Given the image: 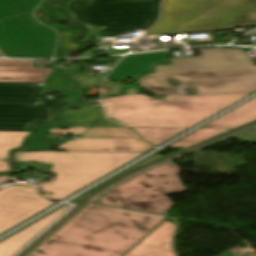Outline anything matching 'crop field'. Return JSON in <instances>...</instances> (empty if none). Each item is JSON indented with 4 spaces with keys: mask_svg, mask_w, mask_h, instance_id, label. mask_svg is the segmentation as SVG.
<instances>
[{
    "mask_svg": "<svg viewBox=\"0 0 256 256\" xmlns=\"http://www.w3.org/2000/svg\"><path fill=\"white\" fill-rule=\"evenodd\" d=\"M42 86L37 83H0V130L31 131L35 124H56L55 110L72 100H42L32 104Z\"/></svg>",
    "mask_w": 256,
    "mask_h": 256,
    "instance_id": "5a996713",
    "label": "crop field"
},
{
    "mask_svg": "<svg viewBox=\"0 0 256 256\" xmlns=\"http://www.w3.org/2000/svg\"><path fill=\"white\" fill-rule=\"evenodd\" d=\"M56 203L42 198L35 187L19 184L0 190V234Z\"/></svg>",
    "mask_w": 256,
    "mask_h": 256,
    "instance_id": "3316defc",
    "label": "crop field"
},
{
    "mask_svg": "<svg viewBox=\"0 0 256 256\" xmlns=\"http://www.w3.org/2000/svg\"><path fill=\"white\" fill-rule=\"evenodd\" d=\"M251 35H256V31H254V32H252V33H250ZM251 45H256V42L255 43H253V44H251Z\"/></svg>",
    "mask_w": 256,
    "mask_h": 256,
    "instance_id": "028f5c9d",
    "label": "crop field"
},
{
    "mask_svg": "<svg viewBox=\"0 0 256 256\" xmlns=\"http://www.w3.org/2000/svg\"><path fill=\"white\" fill-rule=\"evenodd\" d=\"M82 109L79 110H63L61 116L70 119V122L94 121L102 116V107L93 108L88 103H80Z\"/></svg>",
    "mask_w": 256,
    "mask_h": 256,
    "instance_id": "214f88e0",
    "label": "crop field"
},
{
    "mask_svg": "<svg viewBox=\"0 0 256 256\" xmlns=\"http://www.w3.org/2000/svg\"><path fill=\"white\" fill-rule=\"evenodd\" d=\"M69 209V205H64L49 213L34 223L19 230L13 235L0 241V256H12L23 248L33 237L46 228L50 223Z\"/></svg>",
    "mask_w": 256,
    "mask_h": 256,
    "instance_id": "22f410ed",
    "label": "crop field"
},
{
    "mask_svg": "<svg viewBox=\"0 0 256 256\" xmlns=\"http://www.w3.org/2000/svg\"><path fill=\"white\" fill-rule=\"evenodd\" d=\"M122 86H123L122 84H117V83L105 81V83L103 85V88H107L108 89L107 95H110V94L120 93V88Z\"/></svg>",
    "mask_w": 256,
    "mask_h": 256,
    "instance_id": "750c4746",
    "label": "crop field"
},
{
    "mask_svg": "<svg viewBox=\"0 0 256 256\" xmlns=\"http://www.w3.org/2000/svg\"><path fill=\"white\" fill-rule=\"evenodd\" d=\"M256 25V0H165L147 35L233 29Z\"/></svg>",
    "mask_w": 256,
    "mask_h": 256,
    "instance_id": "412701ff",
    "label": "crop field"
},
{
    "mask_svg": "<svg viewBox=\"0 0 256 256\" xmlns=\"http://www.w3.org/2000/svg\"><path fill=\"white\" fill-rule=\"evenodd\" d=\"M135 93V88H129L124 96L104 99L108 117L128 127L190 128L249 94L173 96L153 100Z\"/></svg>",
    "mask_w": 256,
    "mask_h": 256,
    "instance_id": "ac0d7876",
    "label": "crop field"
},
{
    "mask_svg": "<svg viewBox=\"0 0 256 256\" xmlns=\"http://www.w3.org/2000/svg\"><path fill=\"white\" fill-rule=\"evenodd\" d=\"M168 247H172L170 243H169Z\"/></svg>",
    "mask_w": 256,
    "mask_h": 256,
    "instance_id": "b80d0937",
    "label": "crop field"
},
{
    "mask_svg": "<svg viewBox=\"0 0 256 256\" xmlns=\"http://www.w3.org/2000/svg\"><path fill=\"white\" fill-rule=\"evenodd\" d=\"M164 218L89 204L28 256H120Z\"/></svg>",
    "mask_w": 256,
    "mask_h": 256,
    "instance_id": "8a807250",
    "label": "crop field"
},
{
    "mask_svg": "<svg viewBox=\"0 0 256 256\" xmlns=\"http://www.w3.org/2000/svg\"><path fill=\"white\" fill-rule=\"evenodd\" d=\"M94 125V124H93ZM92 127H122L118 124H116L113 121H108L104 119H100L94 126Z\"/></svg>",
    "mask_w": 256,
    "mask_h": 256,
    "instance_id": "bd1437ed",
    "label": "crop field"
},
{
    "mask_svg": "<svg viewBox=\"0 0 256 256\" xmlns=\"http://www.w3.org/2000/svg\"><path fill=\"white\" fill-rule=\"evenodd\" d=\"M166 52L126 56L107 76L106 79L135 78L139 73L150 71L155 62H167ZM140 75V74H139Z\"/></svg>",
    "mask_w": 256,
    "mask_h": 256,
    "instance_id": "d9b57169",
    "label": "crop field"
},
{
    "mask_svg": "<svg viewBox=\"0 0 256 256\" xmlns=\"http://www.w3.org/2000/svg\"><path fill=\"white\" fill-rule=\"evenodd\" d=\"M124 256H133V255H127V254H125Z\"/></svg>",
    "mask_w": 256,
    "mask_h": 256,
    "instance_id": "0bd39190",
    "label": "crop field"
},
{
    "mask_svg": "<svg viewBox=\"0 0 256 256\" xmlns=\"http://www.w3.org/2000/svg\"><path fill=\"white\" fill-rule=\"evenodd\" d=\"M93 122L89 123H77V124H71V126H81V127H90Z\"/></svg>",
    "mask_w": 256,
    "mask_h": 256,
    "instance_id": "120bbe31",
    "label": "crop field"
},
{
    "mask_svg": "<svg viewBox=\"0 0 256 256\" xmlns=\"http://www.w3.org/2000/svg\"><path fill=\"white\" fill-rule=\"evenodd\" d=\"M65 85H51L49 87L44 86L41 92L50 93V92H59L62 93L63 91L61 88Z\"/></svg>",
    "mask_w": 256,
    "mask_h": 256,
    "instance_id": "1d83c4d3",
    "label": "crop field"
},
{
    "mask_svg": "<svg viewBox=\"0 0 256 256\" xmlns=\"http://www.w3.org/2000/svg\"><path fill=\"white\" fill-rule=\"evenodd\" d=\"M62 71L63 70H54V72L51 74L46 83L69 84L60 76Z\"/></svg>",
    "mask_w": 256,
    "mask_h": 256,
    "instance_id": "d3111659",
    "label": "crop field"
},
{
    "mask_svg": "<svg viewBox=\"0 0 256 256\" xmlns=\"http://www.w3.org/2000/svg\"><path fill=\"white\" fill-rule=\"evenodd\" d=\"M178 172L173 162L167 163L128 180L106 193L107 197L98 199L103 204L165 214L174 207L166 195L186 191Z\"/></svg>",
    "mask_w": 256,
    "mask_h": 256,
    "instance_id": "dd49c442",
    "label": "crop field"
},
{
    "mask_svg": "<svg viewBox=\"0 0 256 256\" xmlns=\"http://www.w3.org/2000/svg\"><path fill=\"white\" fill-rule=\"evenodd\" d=\"M160 1L77 0L69 7L79 19L106 26L99 36H110L150 27L159 16Z\"/></svg>",
    "mask_w": 256,
    "mask_h": 256,
    "instance_id": "e52e79f7",
    "label": "crop field"
},
{
    "mask_svg": "<svg viewBox=\"0 0 256 256\" xmlns=\"http://www.w3.org/2000/svg\"><path fill=\"white\" fill-rule=\"evenodd\" d=\"M87 128L71 127L68 130L51 129L48 131L49 134H70L80 135Z\"/></svg>",
    "mask_w": 256,
    "mask_h": 256,
    "instance_id": "eef30255",
    "label": "crop field"
},
{
    "mask_svg": "<svg viewBox=\"0 0 256 256\" xmlns=\"http://www.w3.org/2000/svg\"><path fill=\"white\" fill-rule=\"evenodd\" d=\"M0 55H1L2 57H5V55H4V54H2L1 52H0Z\"/></svg>",
    "mask_w": 256,
    "mask_h": 256,
    "instance_id": "e1f06a70",
    "label": "crop field"
},
{
    "mask_svg": "<svg viewBox=\"0 0 256 256\" xmlns=\"http://www.w3.org/2000/svg\"><path fill=\"white\" fill-rule=\"evenodd\" d=\"M41 0H0V48L15 58H51L57 36L31 17Z\"/></svg>",
    "mask_w": 256,
    "mask_h": 256,
    "instance_id": "f4fd0767",
    "label": "crop field"
},
{
    "mask_svg": "<svg viewBox=\"0 0 256 256\" xmlns=\"http://www.w3.org/2000/svg\"><path fill=\"white\" fill-rule=\"evenodd\" d=\"M234 139L246 142H256V129H250L242 134L232 137Z\"/></svg>",
    "mask_w": 256,
    "mask_h": 256,
    "instance_id": "ae1a2a85",
    "label": "crop field"
},
{
    "mask_svg": "<svg viewBox=\"0 0 256 256\" xmlns=\"http://www.w3.org/2000/svg\"><path fill=\"white\" fill-rule=\"evenodd\" d=\"M48 1H50V0H44L41 3V5L36 9L35 14L37 16V13H42L43 15L37 16V18L39 19L40 22L50 26V24L44 20V16L51 14V10H52V8L46 6Z\"/></svg>",
    "mask_w": 256,
    "mask_h": 256,
    "instance_id": "730fd06b",
    "label": "crop field"
},
{
    "mask_svg": "<svg viewBox=\"0 0 256 256\" xmlns=\"http://www.w3.org/2000/svg\"><path fill=\"white\" fill-rule=\"evenodd\" d=\"M72 1H74V0H69V1H67L66 4L60 5L61 8L66 9V10H68V11L70 12V14L72 15V18H71L70 21H78V22L86 23V22H83V21H80L79 19H77V18L74 16V14L72 13L71 9L68 7L69 3L72 2ZM86 24H89V23H86ZM89 25H91V24H89ZM91 26H92V27H91L90 31L87 32L86 34H87V35H91V36H97V34H98L99 31H100V28H99V27H96V26H94V25H91Z\"/></svg>",
    "mask_w": 256,
    "mask_h": 256,
    "instance_id": "4177f3b9",
    "label": "crop field"
},
{
    "mask_svg": "<svg viewBox=\"0 0 256 256\" xmlns=\"http://www.w3.org/2000/svg\"><path fill=\"white\" fill-rule=\"evenodd\" d=\"M227 130L230 129H200L169 147L186 148Z\"/></svg>",
    "mask_w": 256,
    "mask_h": 256,
    "instance_id": "92a150f3",
    "label": "crop field"
},
{
    "mask_svg": "<svg viewBox=\"0 0 256 256\" xmlns=\"http://www.w3.org/2000/svg\"><path fill=\"white\" fill-rule=\"evenodd\" d=\"M7 179H8L7 175L0 176V183L7 180Z\"/></svg>",
    "mask_w": 256,
    "mask_h": 256,
    "instance_id": "d32e631a",
    "label": "crop field"
},
{
    "mask_svg": "<svg viewBox=\"0 0 256 256\" xmlns=\"http://www.w3.org/2000/svg\"><path fill=\"white\" fill-rule=\"evenodd\" d=\"M82 136L136 138L129 130L125 128H90Z\"/></svg>",
    "mask_w": 256,
    "mask_h": 256,
    "instance_id": "dafd665d",
    "label": "crop field"
},
{
    "mask_svg": "<svg viewBox=\"0 0 256 256\" xmlns=\"http://www.w3.org/2000/svg\"><path fill=\"white\" fill-rule=\"evenodd\" d=\"M60 38L57 45L55 53H58L57 58L65 57L64 51L76 49L82 46V44L76 43L73 41L72 37L74 35L73 30H59Z\"/></svg>",
    "mask_w": 256,
    "mask_h": 256,
    "instance_id": "00972430",
    "label": "crop field"
},
{
    "mask_svg": "<svg viewBox=\"0 0 256 256\" xmlns=\"http://www.w3.org/2000/svg\"><path fill=\"white\" fill-rule=\"evenodd\" d=\"M168 77L177 78L181 86H169ZM138 80L141 87L147 86L164 96L184 95L181 89L186 85L196 86V95L252 92L256 90V66L147 74Z\"/></svg>",
    "mask_w": 256,
    "mask_h": 256,
    "instance_id": "d8731c3e",
    "label": "crop field"
},
{
    "mask_svg": "<svg viewBox=\"0 0 256 256\" xmlns=\"http://www.w3.org/2000/svg\"><path fill=\"white\" fill-rule=\"evenodd\" d=\"M52 69H33L31 61L0 59V82H43Z\"/></svg>",
    "mask_w": 256,
    "mask_h": 256,
    "instance_id": "5142ce71",
    "label": "crop field"
},
{
    "mask_svg": "<svg viewBox=\"0 0 256 256\" xmlns=\"http://www.w3.org/2000/svg\"><path fill=\"white\" fill-rule=\"evenodd\" d=\"M256 119V97L202 128H235Z\"/></svg>",
    "mask_w": 256,
    "mask_h": 256,
    "instance_id": "733c2abd",
    "label": "crop field"
},
{
    "mask_svg": "<svg viewBox=\"0 0 256 256\" xmlns=\"http://www.w3.org/2000/svg\"><path fill=\"white\" fill-rule=\"evenodd\" d=\"M176 226L164 221L127 254L138 256H175L172 248H167L171 242Z\"/></svg>",
    "mask_w": 256,
    "mask_h": 256,
    "instance_id": "cbeb9de0",
    "label": "crop field"
},
{
    "mask_svg": "<svg viewBox=\"0 0 256 256\" xmlns=\"http://www.w3.org/2000/svg\"><path fill=\"white\" fill-rule=\"evenodd\" d=\"M152 149L139 139H97L79 138L77 141H67L57 150L62 151H121L146 152Z\"/></svg>",
    "mask_w": 256,
    "mask_h": 256,
    "instance_id": "d1516ede",
    "label": "crop field"
},
{
    "mask_svg": "<svg viewBox=\"0 0 256 256\" xmlns=\"http://www.w3.org/2000/svg\"><path fill=\"white\" fill-rule=\"evenodd\" d=\"M200 57L169 59L171 65H156L154 73L255 66L247 54L238 49H199Z\"/></svg>",
    "mask_w": 256,
    "mask_h": 256,
    "instance_id": "28ad6ade",
    "label": "crop field"
},
{
    "mask_svg": "<svg viewBox=\"0 0 256 256\" xmlns=\"http://www.w3.org/2000/svg\"><path fill=\"white\" fill-rule=\"evenodd\" d=\"M69 78L81 83V86L77 88L79 90L87 89L88 86L99 87L100 81L102 79L99 75L79 76V74L71 75Z\"/></svg>",
    "mask_w": 256,
    "mask_h": 256,
    "instance_id": "a9b5d70f",
    "label": "crop field"
},
{
    "mask_svg": "<svg viewBox=\"0 0 256 256\" xmlns=\"http://www.w3.org/2000/svg\"><path fill=\"white\" fill-rule=\"evenodd\" d=\"M142 153L121 152H14L19 167H35L42 171L45 167L27 161L52 164L50 171L56 173L52 182L38 183L43 188V196L62 200L89 185L95 180L117 169ZM52 193V195H48Z\"/></svg>",
    "mask_w": 256,
    "mask_h": 256,
    "instance_id": "34b2d1b8",
    "label": "crop field"
},
{
    "mask_svg": "<svg viewBox=\"0 0 256 256\" xmlns=\"http://www.w3.org/2000/svg\"><path fill=\"white\" fill-rule=\"evenodd\" d=\"M30 133L0 131V171H10L9 165L2 159H7L10 149L22 146L24 138Z\"/></svg>",
    "mask_w": 256,
    "mask_h": 256,
    "instance_id": "4a817a6b",
    "label": "crop field"
},
{
    "mask_svg": "<svg viewBox=\"0 0 256 256\" xmlns=\"http://www.w3.org/2000/svg\"><path fill=\"white\" fill-rule=\"evenodd\" d=\"M143 140L154 144L160 145L170 138L178 135L187 129H159V128H131Z\"/></svg>",
    "mask_w": 256,
    "mask_h": 256,
    "instance_id": "bc2a9ffb",
    "label": "crop field"
},
{
    "mask_svg": "<svg viewBox=\"0 0 256 256\" xmlns=\"http://www.w3.org/2000/svg\"><path fill=\"white\" fill-rule=\"evenodd\" d=\"M119 58H120V56L114 57V60L110 67H112L119 60Z\"/></svg>",
    "mask_w": 256,
    "mask_h": 256,
    "instance_id": "5866460e",
    "label": "crop field"
}]
</instances>
